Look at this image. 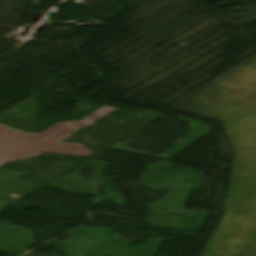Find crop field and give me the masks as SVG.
I'll list each match as a JSON object with an SVG mask.
<instances>
[{
    "instance_id": "1",
    "label": "crop field",
    "mask_w": 256,
    "mask_h": 256,
    "mask_svg": "<svg viewBox=\"0 0 256 256\" xmlns=\"http://www.w3.org/2000/svg\"><path fill=\"white\" fill-rule=\"evenodd\" d=\"M114 109L104 106L80 121L60 122L40 134L24 133L0 124V165L34 157L44 151L87 156L91 152L84 146L60 141Z\"/></svg>"
}]
</instances>
